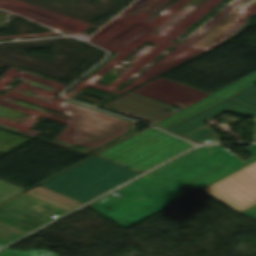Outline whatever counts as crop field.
Segmentation results:
<instances>
[{
  "instance_id": "2",
  "label": "crop field",
  "mask_w": 256,
  "mask_h": 256,
  "mask_svg": "<svg viewBox=\"0 0 256 256\" xmlns=\"http://www.w3.org/2000/svg\"><path fill=\"white\" fill-rule=\"evenodd\" d=\"M191 146L149 127L39 186L84 203Z\"/></svg>"
},
{
  "instance_id": "3",
  "label": "crop field",
  "mask_w": 256,
  "mask_h": 256,
  "mask_svg": "<svg viewBox=\"0 0 256 256\" xmlns=\"http://www.w3.org/2000/svg\"><path fill=\"white\" fill-rule=\"evenodd\" d=\"M255 81L256 71L156 125L196 143L215 142V138L203 137L202 134L211 131L202 124V120L227 107L250 116L256 115V86L252 84ZM196 128L200 129L189 136L185 135Z\"/></svg>"
},
{
  "instance_id": "9",
  "label": "crop field",
  "mask_w": 256,
  "mask_h": 256,
  "mask_svg": "<svg viewBox=\"0 0 256 256\" xmlns=\"http://www.w3.org/2000/svg\"><path fill=\"white\" fill-rule=\"evenodd\" d=\"M24 193L28 194L30 196L39 198L41 200L50 202L52 204L58 205V206L63 207L67 210H71V209H73L76 206L81 204L77 201H74L70 198H67L63 195H60L58 193L52 192L50 190L44 189V188L39 187V186H35L32 189H30V190H28Z\"/></svg>"
},
{
  "instance_id": "7",
  "label": "crop field",
  "mask_w": 256,
  "mask_h": 256,
  "mask_svg": "<svg viewBox=\"0 0 256 256\" xmlns=\"http://www.w3.org/2000/svg\"><path fill=\"white\" fill-rule=\"evenodd\" d=\"M109 105L157 120L167 114L169 112L165 111L168 110L170 112H173L175 110H172V106L149 99L134 93H131Z\"/></svg>"
},
{
  "instance_id": "12",
  "label": "crop field",
  "mask_w": 256,
  "mask_h": 256,
  "mask_svg": "<svg viewBox=\"0 0 256 256\" xmlns=\"http://www.w3.org/2000/svg\"><path fill=\"white\" fill-rule=\"evenodd\" d=\"M25 189L17 187L0 180V203L24 191Z\"/></svg>"
},
{
  "instance_id": "10",
  "label": "crop field",
  "mask_w": 256,
  "mask_h": 256,
  "mask_svg": "<svg viewBox=\"0 0 256 256\" xmlns=\"http://www.w3.org/2000/svg\"><path fill=\"white\" fill-rule=\"evenodd\" d=\"M0 256H59L46 249H32L16 251L13 249L5 248L0 251Z\"/></svg>"
},
{
  "instance_id": "5",
  "label": "crop field",
  "mask_w": 256,
  "mask_h": 256,
  "mask_svg": "<svg viewBox=\"0 0 256 256\" xmlns=\"http://www.w3.org/2000/svg\"><path fill=\"white\" fill-rule=\"evenodd\" d=\"M66 211L23 194L0 206V222L27 232Z\"/></svg>"
},
{
  "instance_id": "1",
  "label": "crop field",
  "mask_w": 256,
  "mask_h": 256,
  "mask_svg": "<svg viewBox=\"0 0 256 256\" xmlns=\"http://www.w3.org/2000/svg\"><path fill=\"white\" fill-rule=\"evenodd\" d=\"M244 161L218 146L193 149L87 205L126 228L256 159V144Z\"/></svg>"
},
{
  "instance_id": "8",
  "label": "crop field",
  "mask_w": 256,
  "mask_h": 256,
  "mask_svg": "<svg viewBox=\"0 0 256 256\" xmlns=\"http://www.w3.org/2000/svg\"><path fill=\"white\" fill-rule=\"evenodd\" d=\"M246 1L247 0H232L180 43L192 46Z\"/></svg>"
},
{
  "instance_id": "13",
  "label": "crop field",
  "mask_w": 256,
  "mask_h": 256,
  "mask_svg": "<svg viewBox=\"0 0 256 256\" xmlns=\"http://www.w3.org/2000/svg\"><path fill=\"white\" fill-rule=\"evenodd\" d=\"M241 214H244L246 216H249V217H252V218L256 219V205L248 208L247 210H245Z\"/></svg>"
},
{
  "instance_id": "11",
  "label": "crop field",
  "mask_w": 256,
  "mask_h": 256,
  "mask_svg": "<svg viewBox=\"0 0 256 256\" xmlns=\"http://www.w3.org/2000/svg\"><path fill=\"white\" fill-rule=\"evenodd\" d=\"M25 232L0 223V246L19 237Z\"/></svg>"
},
{
  "instance_id": "4",
  "label": "crop field",
  "mask_w": 256,
  "mask_h": 256,
  "mask_svg": "<svg viewBox=\"0 0 256 256\" xmlns=\"http://www.w3.org/2000/svg\"><path fill=\"white\" fill-rule=\"evenodd\" d=\"M201 190L234 211L242 212L256 204L253 200H256V160Z\"/></svg>"
},
{
  "instance_id": "6",
  "label": "crop field",
  "mask_w": 256,
  "mask_h": 256,
  "mask_svg": "<svg viewBox=\"0 0 256 256\" xmlns=\"http://www.w3.org/2000/svg\"><path fill=\"white\" fill-rule=\"evenodd\" d=\"M63 104L79 119L84 129L82 142L98 146L126 131L129 121L68 101Z\"/></svg>"
}]
</instances>
